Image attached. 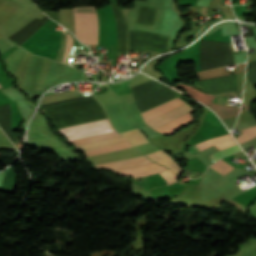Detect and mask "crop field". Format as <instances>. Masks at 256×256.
<instances>
[{"label": "crop field", "instance_id": "24", "mask_svg": "<svg viewBox=\"0 0 256 256\" xmlns=\"http://www.w3.org/2000/svg\"><path fill=\"white\" fill-rule=\"evenodd\" d=\"M246 76L252 82V84L255 86L256 85V69L248 71Z\"/></svg>", "mask_w": 256, "mask_h": 256}, {"label": "crop field", "instance_id": "10", "mask_svg": "<svg viewBox=\"0 0 256 256\" xmlns=\"http://www.w3.org/2000/svg\"><path fill=\"white\" fill-rule=\"evenodd\" d=\"M183 104H185L183 101L176 98V99H174L172 101H169L165 104H162V105H160L156 108H153L149 111H146V112L142 113L141 115H142V117H143V119L146 123V122H148V121H150V120H152V119H154V118H156V117H158V116H160V115H162V114H164L168 111H171V110H173V109H175V108H177V107H179Z\"/></svg>", "mask_w": 256, "mask_h": 256}, {"label": "crop field", "instance_id": "1", "mask_svg": "<svg viewBox=\"0 0 256 256\" xmlns=\"http://www.w3.org/2000/svg\"><path fill=\"white\" fill-rule=\"evenodd\" d=\"M58 129L107 118L103 107L94 99H85L42 109Z\"/></svg>", "mask_w": 256, "mask_h": 256}, {"label": "crop field", "instance_id": "18", "mask_svg": "<svg viewBox=\"0 0 256 256\" xmlns=\"http://www.w3.org/2000/svg\"><path fill=\"white\" fill-rule=\"evenodd\" d=\"M126 139L119 137V138H114V139H109V140H104V141H99V142H94V143H89L81 146H77L81 151L88 150V149H93L101 146H106V145H111L115 143H120V142H125Z\"/></svg>", "mask_w": 256, "mask_h": 256}, {"label": "crop field", "instance_id": "8", "mask_svg": "<svg viewBox=\"0 0 256 256\" xmlns=\"http://www.w3.org/2000/svg\"><path fill=\"white\" fill-rule=\"evenodd\" d=\"M152 163V161L144 155L128 158L120 161L110 162L106 164L97 165L98 167L104 168L106 170L114 171L121 169H128L144 164Z\"/></svg>", "mask_w": 256, "mask_h": 256}, {"label": "crop field", "instance_id": "23", "mask_svg": "<svg viewBox=\"0 0 256 256\" xmlns=\"http://www.w3.org/2000/svg\"><path fill=\"white\" fill-rule=\"evenodd\" d=\"M162 176L167 181V185L176 182V175L169 170L161 172Z\"/></svg>", "mask_w": 256, "mask_h": 256}, {"label": "crop field", "instance_id": "7", "mask_svg": "<svg viewBox=\"0 0 256 256\" xmlns=\"http://www.w3.org/2000/svg\"><path fill=\"white\" fill-rule=\"evenodd\" d=\"M117 26L118 54L127 55V30L126 21L120 11L118 4H111Z\"/></svg>", "mask_w": 256, "mask_h": 256}, {"label": "crop field", "instance_id": "17", "mask_svg": "<svg viewBox=\"0 0 256 256\" xmlns=\"http://www.w3.org/2000/svg\"><path fill=\"white\" fill-rule=\"evenodd\" d=\"M127 147H133V146L131 144H129L128 142H125V143H120V144H116V145H111V146H106V147H101V148H97V149H93V150L84 151V153L86 156H91V155L114 151V150L123 149V148H127Z\"/></svg>", "mask_w": 256, "mask_h": 256}, {"label": "crop field", "instance_id": "13", "mask_svg": "<svg viewBox=\"0 0 256 256\" xmlns=\"http://www.w3.org/2000/svg\"><path fill=\"white\" fill-rule=\"evenodd\" d=\"M197 147L200 149V151L214 145L215 147H217L219 150L228 148L230 146L236 145L235 141L232 139V137L230 136V134L228 135H224L221 137H217L211 140H207L201 143L196 144Z\"/></svg>", "mask_w": 256, "mask_h": 256}, {"label": "crop field", "instance_id": "20", "mask_svg": "<svg viewBox=\"0 0 256 256\" xmlns=\"http://www.w3.org/2000/svg\"><path fill=\"white\" fill-rule=\"evenodd\" d=\"M242 131L246 136L236 138L240 144L256 137V126L242 129Z\"/></svg>", "mask_w": 256, "mask_h": 256}, {"label": "crop field", "instance_id": "12", "mask_svg": "<svg viewBox=\"0 0 256 256\" xmlns=\"http://www.w3.org/2000/svg\"><path fill=\"white\" fill-rule=\"evenodd\" d=\"M190 110H192V108L189 107L187 104H185V105H183V106H181V107H179V108H177V109H175L171 112H168V113H166V114H164V115H162V116H160V117H158V118H156V119H154V120H152V121H150L146 124L155 129V128L173 120L174 118H176V117H178V116H180V115H182V114H184V113H186Z\"/></svg>", "mask_w": 256, "mask_h": 256}, {"label": "crop field", "instance_id": "25", "mask_svg": "<svg viewBox=\"0 0 256 256\" xmlns=\"http://www.w3.org/2000/svg\"><path fill=\"white\" fill-rule=\"evenodd\" d=\"M90 97H93V96L90 95V96H85V97H80V98H75V99H70V100H65V101L50 103V104H46V105H44V106H41V108L48 107V106H52V105H57V104H61V103H65V102H69V101H73V100L84 99V98H90Z\"/></svg>", "mask_w": 256, "mask_h": 256}, {"label": "crop field", "instance_id": "6", "mask_svg": "<svg viewBox=\"0 0 256 256\" xmlns=\"http://www.w3.org/2000/svg\"><path fill=\"white\" fill-rule=\"evenodd\" d=\"M198 83L202 84L207 92L213 94L237 90L236 74L220 78L199 80Z\"/></svg>", "mask_w": 256, "mask_h": 256}, {"label": "crop field", "instance_id": "19", "mask_svg": "<svg viewBox=\"0 0 256 256\" xmlns=\"http://www.w3.org/2000/svg\"><path fill=\"white\" fill-rule=\"evenodd\" d=\"M210 167L217 170L218 172H220L223 175L226 174L228 171H230L232 168H234L221 159L219 161L215 162L214 164H212Z\"/></svg>", "mask_w": 256, "mask_h": 256}, {"label": "crop field", "instance_id": "21", "mask_svg": "<svg viewBox=\"0 0 256 256\" xmlns=\"http://www.w3.org/2000/svg\"><path fill=\"white\" fill-rule=\"evenodd\" d=\"M238 150H241V149L239 148L238 145H236V146L230 147L228 149H225V150H222V151H218V152H216V153H214V154H212L210 156H211V158L214 161H216V160L220 159L221 157H223L224 155L234 153V152H236Z\"/></svg>", "mask_w": 256, "mask_h": 256}, {"label": "crop field", "instance_id": "3", "mask_svg": "<svg viewBox=\"0 0 256 256\" xmlns=\"http://www.w3.org/2000/svg\"><path fill=\"white\" fill-rule=\"evenodd\" d=\"M140 113L176 98L166 86L152 80L131 89Z\"/></svg>", "mask_w": 256, "mask_h": 256}, {"label": "crop field", "instance_id": "15", "mask_svg": "<svg viewBox=\"0 0 256 256\" xmlns=\"http://www.w3.org/2000/svg\"><path fill=\"white\" fill-rule=\"evenodd\" d=\"M155 12L156 8L140 7L137 23L153 26Z\"/></svg>", "mask_w": 256, "mask_h": 256}, {"label": "crop field", "instance_id": "26", "mask_svg": "<svg viewBox=\"0 0 256 256\" xmlns=\"http://www.w3.org/2000/svg\"><path fill=\"white\" fill-rule=\"evenodd\" d=\"M0 88H2V86L0 85Z\"/></svg>", "mask_w": 256, "mask_h": 256}, {"label": "crop field", "instance_id": "11", "mask_svg": "<svg viewBox=\"0 0 256 256\" xmlns=\"http://www.w3.org/2000/svg\"><path fill=\"white\" fill-rule=\"evenodd\" d=\"M146 155L148 157H150L152 160H154L155 162L163 164V165L171 168L178 175V177L181 174V172H182L181 167L167 153L159 150V151L152 152V153H149Z\"/></svg>", "mask_w": 256, "mask_h": 256}, {"label": "crop field", "instance_id": "5", "mask_svg": "<svg viewBox=\"0 0 256 256\" xmlns=\"http://www.w3.org/2000/svg\"><path fill=\"white\" fill-rule=\"evenodd\" d=\"M129 50L155 52L168 49L166 37H161L141 31H128Z\"/></svg>", "mask_w": 256, "mask_h": 256}, {"label": "crop field", "instance_id": "4", "mask_svg": "<svg viewBox=\"0 0 256 256\" xmlns=\"http://www.w3.org/2000/svg\"><path fill=\"white\" fill-rule=\"evenodd\" d=\"M75 36L83 43L98 44L96 12H74Z\"/></svg>", "mask_w": 256, "mask_h": 256}, {"label": "crop field", "instance_id": "16", "mask_svg": "<svg viewBox=\"0 0 256 256\" xmlns=\"http://www.w3.org/2000/svg\"><path fill=\"white\" fill-rule=\"evenodd\" d=\"M124 137H126L130 143H132L134 146L148 143V141L145 139L144 135L140 132L138 128L121 133Z\"/></svg>", "mask_w": 256, "mask_h": 256}, {"label": "crop field", "instance_id": "2", "mask_svg": "<svg viewBox=\"0 0 256 256\" xmlns=\"http://www.w3.org/2000/svg\"><path fill=\"white\" fill-rule=\"evenodd\" d=\"M59 132L74 146L120 136L108 119L60 129Z\"/></svg>", "mask_w": 256, "mask_h": 256}, {"label": "crop field", "instance_id": "22", "mask_svg": "<svg viewBox=\"0 0 256 256\" xmlns=\"http://www.w3.org/2000/svg\"><path fill=\"white\" fill-rule=\"evenodd\" d=\"M72 44H73V38L67 32L66 50H65L64 57H63V61H62L65 64H67V61L69 59L70 51L72 49Z\"/></svg>", "mask_w": 256, "mask_h": 256}, {"label": "crop field", "instance_id": "9", "mask_svg": "<svg viewBox=\"0 0 256 256\" xmlns=\"http://www.w3.org/2000/svg\"><path fill=\"white\" fill-rule=\"evenodd\" d=\"M165 167L159 166L155 163L141 166V167H136L128 170H122V171H115L114 173H117L119 175L131 177V178H138L146 175H150L153 173L160 172L162 170H165Z\"/></svg>", "mask_w": 256, "mask_h": 256}, {"label": "crop field", "instance_id": "14", "mask_svg": "<svg viewBox=\"0 0 256 256\" xmlns=\"http://www.w3.org/2000/svg\"><path fill=\"white\" fill-rule=\"evenodd\" d=\"M193 111H195V109ZM193 111H191V112H193ZM191 112H189V113H191ZM189 113L157 128L156 130L162 132L163 134H171L172 132L177 130L179 127L184 126L186 123L192 122L191 121L192 115H190Z\"/></svg>", "mask_w": 256, "mask_h": 256}]
</instances>
